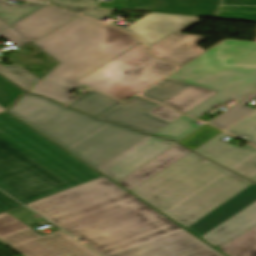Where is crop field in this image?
<instances>
[{
	"label": "crop field",
	"mask_w": 256,
	"mask_h": 256,
	"mask_svg": "<svg viewBox=\"0 0 256 256\" xmlns=\"http://www.w3.org/2000/svg\"><path fill=\"white\" fill-rule=\"evenodd\" d=\"M26 206L103 256L182 230L105 177Z\"/></svg>",
	"instance_id": "crop-field-1"
},
{
	"label": "crop field",
	"mask_w": 256,
	"mask_h": 256,
	"mask_svg": "<svg viewBox=\"0 0 256 256\" xmlns=\"http://www.w3.org/2000/svg\"><path fill=\"white\" fill-rule=\"evenodd\" d=\"M99 177L8 113L0 114V189L22 204Z\"/></svg>",
	"instance_id": "crop-field-2"
},
{
	"label": "crop field",
	"mask_w": 256,
	"mask_h": 256,
	"mask_svg": "<svg viewBox=\"0 0 256 256\" xmlns=\"http://www.w3.org/2000/svg\"><path fill=\"white\" fill-rule=\"evenodd\" d=\"M251 183L191 152L130 192L186 228Z\"/></svg>",
	"instance_id": "crop-field-3"
},
{
	"label": "crop field",
	"mask_w": 256,
	"mask_h": 256,
	"mask_svg": "<svg viewBox=\"0 0 256 256\" xmlns=\"http://www.w3.org/2000/svg\"><path fill=\"white\" fill-rule=\"evenodd\" d=\"M33 43L60 63L29 93L65 105L75 97L68 93L82 86L75 81L139 42L126 33L78 16Z\"/></svg>",
	"instance_id": "crop-field-4"
},
{
	"label": "crop field",
	"mask_w": 256,
	"mask_h": 256,
	"mask_svg": "<svg viewBox=\"0 0 256 256\" xmlns=\"http://www.w3.org/2000/svg\"><path fill=\"white\" fill-rule=\"evenodd\" d=\"M8 112L97 170L149 137L28 93Z\"/></svg>",
	"instance_id": "crop-field-5"
},
{
	"label": "crop field",
	"mask_w": 256,
	"mask_h": 256,
	"mask_svg": "<svg viewBox=\"0 0 256 256\" xmlns=\"http://www.w3.org/2000/svg\"><path fill=\"white\" fill-rule=\"evenodd\" d=\"M167 78L218 92L186 114L197 118L256 90V42L226 39Z\"/></svg>",
	"instance_id": "crop-field-6"
},
{
	"label": "crop field",
	"mask_w": 256,
	"mask_h": 256,
	"mask_svg": "<svg viewBox=\"0 0 256 256\" xmlns=\"http://www.w3.org/2000/svg\"><path fill=\"white\" fill-rule=\"evenodd\" d=\"M175 68L172 64L151 58L138 44L76 83L124 100Z\"/></svg>",
	"instance_id": "crop-field-7"
},
{
	"label": "crop field",
	"mask_w": 256,
	"mask_h": 256,
	"mask_svg": "<svg viewBox=\"0 0 256 256\" xmlns=\"http://www.w3.org/2000/svg\"><path fill=\"white\" fill-rule=\"evenodd\" d=\"M0 240L24 256H97L60 230L41 237L25 227Z\"/></svg>",
	"instance_id": "crop-field-8"
},
{
	"label": "crop field",
	"mask_w": 256,
	"mask_h": 256,
	"mask_svg": "<svg viewBox=\"0 0 256 256\" xmlns=\"http://www.w3.org/2000/svg\"><path fill=\"white\" fill-rule=\"evenodd\" d=\"M112 256H224L182 230Z\"/></svg>",
	"instance_id": "crop-field-9"
},
{
	"label": "crop field",
	"mask_w": 256,
	"mask_h": 256,
	"mask_svg": "<svg viewBox=\"0 0 256 256\" xmlns=\"http://www.w3.org/2000/svg\"><path fill=\"white\" fill-rule=\"evenodd\" d=\"M222 133L199 147L194 152L233 170L251 181H256V148L246 144L238 147L225 140Z\"/></svg>",
	"instance_id": "crop-field-10"
},
{
	"label": "crop field",
	"mask_w": 256,
	"mask_h": 256,
	"mask_svg": "<svg viewBox=\"0 0 256 256\" xmlns=\"http://www.w3.org/2000/svg\"><path fill=\"white\" fill-rule=\"evenodd\" d=\"M138 4V10L194 15L216 18L220 5H251L256 0H127ZM125 9L136 10L135 6L126 4Z\"/></svg>",
	"instance_id": "crop-field-11"
},
{
	"label": "crop field",
	"mask_w": 256,
	"mask_h": 256,
	"mask_svg": "<svg viewBox=\"0 0 256 256\" xmlns=\"http://www.w3.org/2000/svg\"><path fill=\"white\" fill-rule=\"evenodd\" d=\"M198 22V17L193 16L150 13L127 28L109 24L141 38L147 48L168 34L181 33Z\"/></svg>",
	"instance_id": "crop-field-12"
},
{
	"label": "crop field",
	"mask_w": 256,
	"mask_h": 256,
	"mask_svg": "<svg viewBox=\"0 0 256 256\" xmlns=\"http://www.w3.org/2000/svg\"><path fill=\"white\" fill-rule=\"evenodd\" d=\"M158 105L134 96L97 119L114 122L144 134L153 135L169 124L146 113Z\"/></svg>",
	"instance_id": "crop-field-13"
},
{
	"label": "crop field",
	"mask_w": 256,
	"mask_h": 256,
	"mask_svg": "<svg viewBox=\"0 0 256 256\" xmlns=\"http://www.w3.org/2000/svg\"><path fill=\"white\" fill-rule=\"evenodd\" d=\"M174 144L151 136L98 171L117 182Z\"/></svg>",
	"instance_id": "crop-field-14"
},
{
	"label": "crop field",
	"mask_w": 256,
	"mask_h": 256,
	"mask_svg": "<svg viewBox=\"0 0 256 256\" xmlns=\"http://www.w3.org/2000/svg\"><path fill=\"white\" fill-rule=\"evenodd\" d=\"M76 16L52 5H47L10 27L33 42Z\"/></svg>",
	"instance_id": "crop-field-15"
},
{
	"label": "crop field",
	"mask_w": 256,
	"mask_h": 256,
	"mask_svg": "<svg viewBox=\"0 0 256 256\" xmlns=\"http://www.w3.org/2000/svg\"><path fill=\"white\" fill-rule=\"evenodd\" d=\"M254 201H256L255 183L251 184L186 229L200 238Z\"/></svg>",
	"instance_id": "crop-field-16"
},
{
	"label": "crop field",
	"mask_w": 256,
	"mask_h": 256,
	"mask_svg": "<svg viewBox=\"0 0 256 256\" xmlns=\"http://www.w3.org/2000/svg\"><path fill=\"white\" fill-rule=\"evenodd\" d=\"M205 39L172 33L147 49L157 58L181 65L204 51L197 44Z\"/></svg>",
	"instance_id": "crop-field-17"
},
{
	"label": "crop field",
	"mask_w": 256,
	"mask_h": 256,
	"mask_svg": "<svg viewBox=\"0 0 256 256\" xmlns=\"http://www.w3.org/2000/svg\"><path fill=\"white\" fill-rule=\"evenodd\" d=\"M254 226H256V202L241 210L200 239L218 249Z\"/></svg>",
	"instance_id": "crop-field-18"
},
{
	"label": "crop field",
	"mask_w": 256,
	"mask_h": 256,
	"mask_svg": "<svg viewBox=\"0 0 256 256\" xmlns=\"http://www.w3.org/2000/svg\"><path fill=\"white\" fill-rule=\"evenodd\" d=\"M189 152L191 151L176 144L118 183L130 191L163 169L167 168Z\"/></svg>",
	"instance_id": "crop-field-19"
},
{
	"label": "crop field",
	"mask_w": 256,
	"mask_h": 256,
	"mask_svg": "<svg viewBox=\"0 0 256 256\" xmlns=\"http://www.w3.org/2000/svg\"><path fill=\"white\" fill-rule=\"evenodd\" d=\"M120 103L122 102H118L112 98L91 90L85 96L74 100L67 107L79 110L89 116L97 118Z\"/></svg>",
	"instance_id": "crop-field-20"
},
{
	"label": "crop field",
	"mask_w": 256,
	"mask_h": 256,
	"mask_svg": "<svg viewBox=\"0 0 256 256\" xmlns=\"http://www.w3.org/2000/svg\"><path fill=\"white\" fill-rule=\"evenodd\" d=\"M215 93L211 90L191 86L163 104L185 114Z\"/></svg>",
	"instance_id": "crop-field-21"
},
{
	"label": "crop field",
	"mask_w": 256,
	"mask_h": 256,
	"mask_svg": "<svg viewBox=\"0 0 256 256\" xmlns=\"http://www.w3.org/2000/svg\"><path fill=\"white\" fill-rule=\"evenodd\" d=\"M218 250L228 256H256V227Z\"/></svg>",
	"instance_id": "crop-field-22"
},
{
	"label": "crop field",
	"mask_w": 256,
	"mask_h": 256,
	"mask_svg": "<svg viewBox=\"0 0 256 256\" xmlns=\"http://www.w3.org/2000/svg\"><path fill=\"white\" fill-rule=\"evenodd\" d=\"M189 86L191 85L164 79L145 90L142 95L162 103L173 95L187 89Z\"/></svg>",
	"instance_id": "crop-field-23"
},
{
	"label": "crop field",
	"mask_w": 256,
	"mask_h": 256,
	"mask_svg": "<svg viewBox=\"0 0 256 256\" xmlns=\"http://www.w3.org/2000/svg\"><path fill=\"white\" fill-rule=\"evenodd\" d=\"M256 98V92L241 101L240 103L236 104L232 108L228 109L221 115H219L217 118L209 122L210 124L220 128V129H225L237 120L241 119L254 109L248 108L243 106L247 102L251 101L252 99Z\"/></svg>",
	"instance_id": "crop-field-24"
},
{
	"label": "crop field",
	"mask_w": 256,
	"mask_h": 256,
	"mask_svg": "<svg viewBox=\"0 0 256 256\" xmlns=\"http://www.w3.org/2000/svg\"><path fill=\"white\" fill-rule=\"evenodd\" d=\"M6 2L0 0V19L8 25L44 5L33 2H28L24 5H13Z\"/></svg>",
	"instance_id": "crop-field-25"
},
{
	"label": "crop field",
	"mask_w": 256,
	"mask_h": 256,
	"mask_svg": "<svg viewBox=\"0 0 256 256\" xmlns=\"http://www.w3.org/2000/svg\"><path fill=\"white\" fill-rule=\"evenodd\" d=\"M195 122L197 121L183 116L178 120L172 122L170 125L162 129L155 135L177 141L199 127L193 125Z\"/></svg>",
	"instance_id": "crop-field-26"
},
{
	"label": "crop field",
	"mask_w": 256,
	"mask_h": 256,
	"mask_svg": "<svg viewBox=\"0 0 256 256\" xmlns=\"http://www.w3.org/2000/svg\"><path fill=\"white\" fill-rule=\"evenodd\" d=\"M0 74L20 86L24 90H28L39 79L30 75L18 66H2L0 65Z\"/></svg>",
	"instance_id": "crop-field-27"
},
{
	"label": "crop field",
	"mask_w": 256,
	"mask_h": 256,
	"mask_svg": "<svg viewBox=\"0 0 256 256\" xmlns=\"http://www.w3.org/2000/svg\"><path fill=\"white\" fill-rule=\"evenodd\" d=\"M220 133L222 132L205 124L204 126H202L201 128H199L198 130H196L195 132H193L192 134H190L189 136H187L178 143L194 151L199 146L206 143L207 141L214 138Z\"/></svg>",
	"instance_id": "crop-field-28"
},
{
	"label": "crop field",
	"mask_w": 256,
	"mask_h": 256,
	"mask_svg": "<svg viewBox=\"0 0 256 256\" xmlns=\"http://www.w3.org/2000/svg\"><path fill=\"white\" fill-rule=\"evenodd\" d=\"M217 18L237 19L256 22V7L220 6Z\"/></svg>",
	"instance_id": "crop-field-29"
},
{
	"label": "crop field",
	"mask_w": 256,
	"mask_h": 256,
	"mask_svg": "<svg viewBox=\"0 0 256 256\" xmlns=\"http://www.w3.org/2000/svg\"><path fill=\"white\" fill-rule=\"evenodd\" d=\"M226 132L238 138L245 135L249 137L248 139H250V141H247V139L245 141L250 142L256 146V112L243 119L230 129H228Z\"/></svg>",
	"instance_id": "crop-field-30"
},
{
	"label": "crop field",
	"mask_w": 256,
	"mask_h": 256,
	"mask_svg": "<svg viewBox=\"0 0 256 256\" xmlns=\"http://www.w3.org/2000/svg\"><path fill=\"white\" fill-rule=\"evenodd\" d=\"M24 93L25 92L0 76V106L5 110Z\"/></svg>",
	"instance_id": "crop-field-31"
},
{
	"label": "crop field",
	"mask_w": 256,
	"mask_h": 256,
	"mask_svg": "<svg viewBox=\"0 0 256 256\" xmlns=\"http://www.w3.org/2000/svg\"><path fill=\"white\" fill-rule=\"evenodd\" d=\"M53 5L61 6L75 13H79L97 4L96 0H50Z\"/></svg>",
	"instance_id": "crop-field-32"
},
{
	"label": "crop field",
	"mask_w": 256,
	"mask_h": 256,
	"mask_svg": "<svg viewBox=\"0 0 256 256\" xmlns=\"http://www.w3.org/2000/svg\"><path fill=\"white\" fill-rule=\"evenodd\" d=\"M23 227H25L23 224L19 223L7 214H0V237Z\"/></svg>",
	"instance_id": "crop-field-33"
},
{
	"label": "crop field",
	"mask_w": 256,
	"mask_h": 256,
	"mask_svg": "<svg viewBox=\"0 0 256 256\" xmlns=\"http://www.w3.org/2000/svg\"><path fill=\"white\" fill-rule=\"evenodd\" d=\"M148 113H150L158 118H161L167 122H170V123L182 116V115H180L164 106H161V105L154 108L153 110L149 111Z\"/></svg>",
	"instance_id": "crop-field-34"
},
{
	"label": "crop field",
	"mask_w": 256,
	"mask_h": 256,
	"mask_svg": "<svg viewBox=\"0 0 256 256\" xmlns=\"http://www.w3.org/2000/svg\"><path fill=\"white\" fill-rule=\"evenodd\" d=\"M0 36L4 37L7 39L9 42L14 44L15 46H20L26 42H28L27 39L23 38L19 34H17L15 31L12 29L8 28L0 33Z\"/></svg>",
	"instance_id": "crop-field-35"
},
{
	"label": "crop field",
	"mask_w": 256,
	"mask_h": 256,
	"mask_svg": "<svg viewBox=\"0 0 256 256\" xmlns=\"http://www.w3.org/2000/svg\"><path fill=\"white\" fill-rule=\"evenodd\" d=\"M21 206L19 203L0 192V213Z\"/></svg>",
	"instance_id": "crop-field-36"
},
{
	"label": "crop field",
	"mask_w": 256,
	"mask_h": 256,
	"mask_svg": "<svg viewBox=\"0 0 256 256\" xmlns=\"http://www.w3.org/2000/svg\"><path fill=\"white\" fill-rule=\"evenodd\" d=\"M113 11L114 10H111V9H103V8L96 7V8H92V9L86 11L82 15L99 21L106 15L112 13Z\"/></svg>",
	"instance_id": "crop-field-37"
},
{
	"label": "crop field",
	"mask_w": 256,
	"mask_h": 256,
	"mask_svg": "<svg viewBox=\"0 0 256 256\" xmlns=\"http://www.w3.org/2000/svg\"><path fill=\"white\" fill-rule=\"evenodd\" d=\"M125 1H126V0H113V1H111L110 3L99 2L98 6L113 7V8H121V9H124Z\"/></svg>",
	"instance_id": "crop-field-38"
},
{
	"label": "crop field",
	"mask_w": 256,
	"mask_h": 256,
	"mask_svg": "<svg viewBox=\"0 0 256 256\" xmlns=\"http://www.w3.org/2000/svg\"><path fill=\"white\" fill-rule=\"evenodd\" d=\"M6 26H8V25H6L4 22H2V21L0 20V30H1L2 28L6 27Z\"/></svg>",
	"instance_id": "crop-field-39"
},
{
	"label": "crop field",
	"mask_w": 256,
	"mask_h": 256,
	"mask_svg": "<svg viewBox=\"0 0 256 256\" xmlns=\"http://www.w3.org/2000/svg\"><path fill=\"white\" fill-rule=\"evenodd\" d=\"M27 1H39V2H46V0H27Z\"/></svg>",
	"instance_id": "crop-field-40"
},
{
	"label": "crop field",
	"mask_w": 256,
	"mask_h": 256,
	"mask_svg": "<svg viewBox=\"0 0 256 256\" xmlns=\"http://www.w3.org/2000/svg\"><path fill=\"white\" fill-rule=\"evenodd\" d=\"M3 111H5V110L0 107V112H3Z\"/></svg>",
	"instance_id": "crop-field-41"
},
{
	"label": "crop field",
	"mask_w": 256,
	"mask_h": 256,
	"mask_svg": "<svg viewBox=\"0 0 256 256\" xmlns=\"http://www.w3.org/2000/svg\"><path fill=\"white\" fill-rule=\"evenodd\" d=\"M134 5V4H133ZM136 8H137V5H136Z\"/></svg>",
	"instance_id": "crop-field-42"
}]
</instances>
